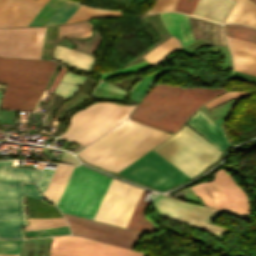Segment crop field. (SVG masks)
Instances as JSON below:
<instances>
[{
	"mask_svg": "<svg viewBox=\"0 0 256 256\" xmlns=\"http://www.w3.org/2000/svg\"><path fill=\"white\" fill-rule=\"evenodd\" d=\"M160 16H161V19H162L166 29L169 32L173 33L182 42L183 46L192 42V41H194L188 16L184 15L188 24H189L191 37L188 33L187 24H186V21L184 20V18L182 16V14H179V13H160ZM179 17H180V19L182 20V22L184 24L185 33H186V37L188 38V41H187V39L184 35L182 23H181Z\"/></svg>",
	"mask_w": 256,
	"mask_h": 256,
	"instance_id": "crop-field-21",
	"label": "crop field"
},
{
	"mask_svg": "<svg viewBox=\"0 0 256 256\" xmlns=\"http://www.w3.org/2000/svg\"><path fill=\"white\" fill-rule=\"evenodd\" d=\"M142 191L112 179L93 219L125 228Z\"/></svg>",
	"mask_w": 256,
	"mask_h": 256,
	"instance_id": "crop-field-9",
	"label": "crop field"
},
{
	"mask_svg": "<svg viewBox=\"0 0 256 256\" xmlns=\"http://www.w3.org/2000/svg\"><path fill=\"white\" fill-rule=\"evenodd\" d=\"M224 29L227 36L256 43V30L254 29L239 25H225Z\"/></svg>",
	"mask_w": 256,
	"mask_h": 256,
	"instance_id": "crop-field-31",
	"label": "crop field"
},
{
	"mask_svg": "<svg viewBox=\"0 0 256 256\" xmlns=\"http://www.w3.org/2000/svg\"><path fill=\"white\" fill-rule=\"evenodd\" d=\"M68 220L73 234L100 242L131 249L141 233L63 214Z\"/></svg>",
	"mask_w": 256,
	"mask_h": 256,
	"instance_id": "crop-field-13",
	"label": "crop field"
},
{
	"mask_svg": "<svg viewBox=\"0 0 256 256\" xmlns=\"http://www.w3.org/2000/svg\"><path fill=\"white\" fill-rule=\"evenodd\" d=\"M145 193L146 191L144 190L132 214V217L126 227L127 229H131V230H135L143 233H149V232L158 230V228L143 215L148 205V202L142 201Z\"/></svg>",
	"mask_w": 256,
	"mask_h": 256,
	"instance_id": "crop-field-23",
	"label": "crop field"
},
{
	"mask_svg": "<svg viewBox=\"0 0 256 256\" xmlns=\"http://www.w3.org/2000/svg\"><path fill=\"white\" fill-rule=\"evenodd\" d=\"M122 11H103L99 9L81 6L68 20V22L80 21L90 18L121 16ZM67 22V23H68Z\"/></svg>",
	"mask_w": 256,
	"mask_h": 256,
	"instance_id": "crop-field-25",
	"label": "crop field"
},
{
	"mask_svg": "<svg viewBox=\"0 0 256 256\" xmlns=\"http://www.w3.org/2000/svg\"><path fill=\"white\" fill-rule=\"evenodd\" d=\"M152 65H150L149 63H147L146 61H141L137 64L122 68L120 70H115V71H110V72H104V73H98L103 79L106 78H110L113 76H117L120 74H124V73H129V72H133L139 69H143V68H147V67H151Z\"/></svg>",
	"mask_w": 256,
	"mask_h": 256,
	"instance_id": "crop-field-35",
	"label": "crop field"
},
{
	"mask_svg": "<svg viewBox=\"0 0 256 256\" xmlns=\"http://www.w3.org/2000/svg\"><path fill=\"white\" fill-rule=\"evenodd\" d=\"M174 1L171 0H156L154 8L149 10V12L155 11H173L175 6Z\"/></svg>",
	"mask_w": 256,
	"mask_h": 256,
	"instance_id": "crop-field-39",
	"label": "crop field"
},
{
	"mask_svg": "<svg viewBox=\"0 0 256 256\" xmlns=\"http://www.w3.org/2000/svg\"><path fill=\"white\" fill-rule=\"evenodd\" d=\"M26 203H45L35 198L25 195ZM27 207H44L51 206L49 204H26ZM45 208H56V207H45ZM27 210H58V209H27ZM28 217H39V218H55L62 217L59 211H27Z\"/></svg>",
	"mask_w": 256,
	"mask_h": 256,
	"instance_id": "crop-field-30",
	"label": "crop field"
},
{
	"mask_svg": "<svg viewBox=\"0 0 256 256\" xmlns=\"http://www.w3.org/2000/svg\"><path fill=\"white\" fill-rule=\"evenodd\" d=\"M59 161L74 164V165H78L79 163L73 156L69 155L66 152L63 153Z\"/></svg>",
	"mask_w": 256,
	"mask_h": 256,
	"instance_id": "crop-field-42",
	"label": "crop field"
},
{
	"mask_svg": "<svg viewBox=\"0 0 256 256\" xmlns=\"http://www.w3.org/2000/svg\"><path fill=\"white\" fill-rule=\"evenodd\" d=\"M74 167L58 164L56 171L44 193L47 200L56 204Z\"/></svg>",
	"mask_w": 256,
	"mask_h": 256,
	"instance_id": "crop-field-22",
	"label": "crop field"
},
{
	"mask_svg": "<svg viewBox=\"0 0 256 256\" xmlns=\"http://www.w3.org/2000/svg\"><path fill=\"white\" fill-rule=\"evenodd\" d=\"M181 48L180 42L173 36L157 46L143 58L153 66L160 63L166 56Z\"/></svg>",
	"mask_w": 256,
	"mask_h": 256,
	"instance_id": "crop-field-24",
	"label": "crop field"
},
{
	"mask_svg": "<svg viewBox=\"0 0 256 256\" xmlns=\"http://www.w3.org/2000/svg\"><path fill=\"white\" fill-rule=\"evenodd\" d=\"M27 220L30 226L25 227V230L68 225L64 218H56V219L27 218Z\"/></svg>",
	"mask_w": 256,
	"mask_h": 256,
	"instance_id": "crop-field-33",
	"label": "crop field"
},
{
	"mask_svg": "<svg viewBox=\"0 0 256 256\" xmlns=\"http://www.w3.org/2000/svg\"><path fill=\"white\" fill-rule=\"evenodd\" d=\"M134 107L112 103H97L89 106L72 116L69 128L60 138L86 146L127 118Z\"/></svg>",
	"mask_w": 256,
	"mask_h": 256,
	"instance_id": "crop-field-7",
	"label": "crop field"
},
{
	"mask_svg": "<svg viewBox=\"0 0 256 256\" xmlns=\"http://www.w3.org/2000/svg\"><path fill=\"white\" fill-rule=\"evenodd\" d=\"M111 179L84 166L75 167L56 206L92 219Z\"/></svg>",
	"mask_w": 256,
	"mask_h": 256,
	"instance_id": "crop-field-5",
	"label": "crop field"
},
{
	"mask_svg": "<svg viewBox=\"0 0 256 256\" xmlns=\"http://www.w3.org/2000/svg\"><path fill=\"white\" fill-rule=\"evenodd\" d=\"M24 240H0V254H19ZM18 256V255H0Z\"/></svg>",
	"mask_w": 256,
	"mask_h": 256,
	"instance_id": "crop-field-34",
	"label": "crop field"
},
{
	"mask_svg": "<svg viewBox=\"0 0 256 256\" xmlns=\"http://www.w3.org/2000/svg\"><path fill=\"white\" fill-rule=\"evenodd\" d=\"M23 193L38 198L42 199V196L40 195L39 191L33 186V185H23Z\"/></svg>",
	"mask_w": 256,
	"mask_h": 256,
	"instance_id": "crop-field-41",
	"label": "crop field"
},
{
	"mask_svg": "<svg viewBox=\"0 0 256 256\" xmlns=\"http://www.w3.org/2000/svg\"><path fill=\"white\" fill-rule=\"evenodd\" d=\"M224 23H240L256 28V5L250 0H236Z\"/></svg>",
	"mask_w": 256,
	"mask_h": 256,
	"instance_id": "crop-field-19",
	"label": "crop field"
},
{
	"mask_svg": "<svg viewBox=\"0 0 256 256\" xmlns=\"http://www.w3.org/2000/svg\"><path fill=\"white\" fill-rule=\"evenodd\" d=\"M234 70L256 76V44L227 37Z\"/></svg>",
	"mask_w": 256,
	"mask_h": 256,
	"instance_id": "crop-field-16",
	"label": "crop field"
},
{
	"mask_svg": "<svg viewBox=\"0 0 256 256\" xmlns=\"http://www.w3.org/2000/svg\"><path fill=\"white\" fill-rule=\"evenodd\" d=\"M84 79H85L84 76H77L75 74L67 72L65 74L63 80L61 81V83L59 84L57 89L55 90V93L61 95L62 97H64L66 99L71 94H73L78 87L76 85H72V84H68V83L80 84ZM66 82H68V83H66Z\"/></svg>",
	"mask_w": 256,
	"mask_h": 256,
	"instance_id": "crop-field-29",
	"label": "crop field"
},
{
	"mask_svg": "<svg viewBox=\"0 0 256 256\" xmlns=\"http://www.w3.org/2000/svg\"><path fill=\"white\" fill-rule=\"evenodd\" d=\"M189 124L196 128L206 137L207 140L213 143L221 151L224 147L231 145L226 141L223 131L219 128V126L212 122L202 112H197L189 121Z\"/></svg>",
	"mask_w": 256,
	"mask_h": 256,
	"instance_id": "crop-field-17",
	"label": "crop field"
},
{
	"mask_svg": "<svg viewBox=\"0 0 256 256\" xmlns=\"http://www.w3.org/2000/svg\"><path fill=\"white\" fill-rule=\"evenodd\" d=\"M66 71V68L62 66V68L60 69L51 89H50V92H53V90L56 88L58 82L60 81V79L62 78L63 74L65 73Z\"/></svg>",
	"mask_w": 256,
	"mask_h": 256,
	"instance_id": "crop-field-44",
	"label": "crop field"
},
{
	"mask_svg": "<svg viewBox=\"0 0 256 256\" xmlns=\"http://www.w3.org/2000/svg\"><path fill=\"white\" fill-rule=\"evenodd\" d=\"M12 160L0 161V237L24 238L27 225L21 183H35L41 170L9 168Z\"/></svg>",
	"mask_w": 256,
	"mask_h": 256,
	"instance_id": "crop-field-4",
	"label": "crop field"
},
{
	"mask_svg": "<svg viewBox=\"0 0 256 256\" xmlns=\"http://www.w3.org/2000/svg\"><path fill=\"white\" fill-rule=\"evenodd\" d=\"M2 93H3V91H0V99H1V97H2Z\"/></svg>",
	"mask_w": 256,
	"mask_h": 256,
	"instance_id": "crop-field-47",
	"label": "crop field"
},
{
	"mask_svg": "<svg viewBox=\"0 0 256 256\" xmlns=\"http://www.w3.org/2000/svg\"><path fill=\"white\" fill-rule=\"evenodd\" d=\"M154 150L190 177L218 160L221 152L186 125Z\"/></svg>",
	"mask_w": 256,
	"mask_h": 256,
	"instance_id": "crop-field-6",
	"label": "crop field"
},
{
	"mask_svg": "<svg viewBox=\"0 0 256 256\" xmlns=\"http://www.w3.org/2000/svg\"><path fill=\"white\" fill-rule=\"evenodd\" d=\"M50 256H64V255H60V254H56V253H52L51 252V255Z\"/></svg>",
	"mask_w": 256,
	"mask_h": 256,
	"instance_id": "crop-field-46",
	"label": "crop field"
},
{
	"mask_svg": "<svg viewBox=\"0 0 256 256\" xmlns=\"http://www.w3.org/2000/svg\"><path fill=\"white\" fill-rule=\"evenodd\" d=\"M98 87L108 89V90H112V91L119 92V93L127 95V93L124 92L122 89H120L118 87H115V86H113L109 83H101Z\"/></svg>",
	"mask_w": 256,
	"mask_h": 256,
	"instance_id": "crop-field-43",
	"label": "crop field"
},
{
	"mask_svg": "<svg viewBox=\"0 0 256 256\" xmlns=\"http://www.w3.org/2000/svg\"><path fill=\"white\" fill-rule=\"evenodd\" d=\"M45 29H0V55L40 59Z\"/></svg>",
	"mask_w": 256,
	"mask_h": 256,
	"instance_id": "crop-field-12",
	"label": "crop field"
},
{
	"mask_svg": "<svg viewBox=\"0 0 256 256\" xmlns=\"http://www.w3.org/2000/svg\"><path fill=\"white\" fill-rule=\"evenodd\" d=\"M92 25L87 21L75 24L59 26V39L64 36L70 37H89L91 35Z\"/></svg>",
	"mask_w": 256,
	"mask_h": 256,
	"instance_id": "crop-field-26",
	"label": "crop field"
},
{
	"mask_svg": "<svg viewBox=\"0 0 256 256\" xmlns=\"http://www.w3.org/2000/svg\"><path fill=\"white\" fill-rule=\"evenodd\" d=\"M43 165H44L43 163H39L38 166H37V168L42 169V168H43Z\"/></svg>",
	"mask_w": 256,
	"mask_h": 256,
	"instance_id": "crop-field-45",
	"label": "crop field"
},
{
	"mask_svg": "<svg viewBox=\"0 0 256 256\" xmlns=\"http://www.w3.org/2000/svg\"><path fill=\"white\" fill-rule=\"evenodd\" d=\"M52 252L68 256H141L142 253L134 252L99 242L75 237H55Z\"/></svg>",
	"mask_w": 256,
	"mask_h": 256,
	"instance_id": "crop-field-14",
	"label": "crop field"
},
{
	"mask_svg": "<svg viewBox=\"0 0 256 256\" xmlns=\"http://www.w3.org/2000/svg\"><path fill=\"white\" fill-rule=\"evenodd\" d=\"M214 200L217 209L232 213L250 221L249 201L246 193L235 183L232 176L223 170H218L212 183H204ZM203 183L194 185L191 189L206 205L214 207Z\"/></svg>",
	"mask_w": 256,
	"mask_h": 256,
	"instance_id": "crop-field-8",
	"label": "crop field"
},
{
	"mask_svg": "<svg viewBox=\"0 0 256 256\" xmlns=\"http://www.w3.org/2000/svg\"><path fill=\"white\" fill-rule=\"evenodd\" d=\"M253 1H255V2H256V0H253Z\"/></svg>",
	"mask_w": 256,
	"mask_h": 256,
	"instance_id": "crop-field-48",
	"label": "crop field"
},
{
	"mask_svg": "<svg viewBox=\"0 0 256 256\" xmlns=\"http://www.w3.org/2000/svg\"><path fill=\"white\" fill-rule=\"evenodd\" d=\"M55 63L0 57V81L8 83L2 108L33 111Z\"/></svg>",
	"mask_w": 256,
	"mask_h": 256,
	"instance_id": "crop-field-3",
	"label": "crop field"
},
{
	"mask_svg": "<svg viewBox=\"0 0 256 256\" xmlns=\"http://www.w3.org/2000/svg\"><path fill=\"white\" fill-rule=\"evenodd\" d=\"M165 74V72L162 71H156L150 76H147L140 80L135 87L130 91L132 96L131 99L141 101L142 98L146 95V93L149 91V89L152 87V85Z\"/></svg>",
	"mask_w": 256,
	"mask_h": 256,
	"instance_id": "crop-field-27",
	"label": "crop field"
},
{
	"mask_svg": "<svg viewBox=\"0 0 256 256\" xmlns=\"http://www.w3.org/2000/svg\"><path fill=\"white\" fill-rule=\"evenodd\" d=\"M197 1L198 0H178L175 10L191 15Z\"/></svg>",
	"mask_w": 256,
	"mask_h": 256,
	"instance_id": "crop-field-38",
	"label": "crop field"
},
{
	"mask_svg": "<svg viewBox=\"0 0 256 256\" xmlns=\"http://www.w3.org/2000/svg\"><path fill=\"white\" fill-rule=\"evenodd\" d=\"M153 204L159 216L202 229L219 238L226 230L208 223L222 213L221 211L175 200L160 194Z\"/></svg>",
	"mask_w": 256,
	"mask_h": 256,
	"instance_id": "crop-field-11",
	"label": "crop field"
},
{
	"mask_svg": "<svg viewBox=\"0 0 256 256\" xmlns=\"http://www.w3.org/2000/svg\"><path fill=\"white\" fill-rule=\"evenodd\" d=\"M53 170H47V169H44L38 183H37V186L39 187V189L42 191V193H44L49 181H50V178L53 174Z\"/></svg>",
	"mask_w": 256,
	"mask_h": 256,
	"instance_id": "crop-field-40",
	"label": "crop field"
},
{
	"mask_svg": "<svg viewBox=\"0 0 256 256\" xmlns=\"http://www.w3.org/2000/svg\"><path fill=\"white\" fill-rule=\"evenodd\" d=\"M223 91L156 84L130 118L174 133L204 102Z\"/></svg>",
	"mask_w": 256,
	"mask_h": 256,
	"instance_id": "crop-field-2",
	"label": "crop field"
},
{
	"mask_svg": "<svg viewBox=\"0 0 256 256\" xmlns=\"http://www.w3.org/2000/svg\"><path fill=\"white\" fill-rule=\"evenodd\" d=\"M64 2V0H50L27 26H45Z\"/></svg>",
	"mask_w": 256,
	"mask_h": 256,
	"instance_id": "crop-field-28",
	"label": "crop field"
},
{
	"mask_svg": "<svg viewBox=\"0 0 256 256\" xmlns=\"http://www.w3.org/2000/svg\"><path fill=\"white\" fill-rule=\"evenodd\" d=\"M250 93H236V92H228L226 94H223L215 99H213L212 101H210L209 103L205 104L207 108H211L217 104H219L220 102L222 101H225V100H229V99H236V98H239V97H243V96H246V95H249Z\"/></svg>",
	"mask_w": 256,
	"mask_h": 256,
	"instance_id": "crop-field-37",
	"label": "crop field"
},
{
	"mask_svg": "<svg viewBox=\"0 0 256 256\" xmlns=\"http://www.w3.org/2000/svg\"><path fill=\"white\" fill-rule=\"evenodd\" d=\"M48 0H0V27L26 26Z\"/></svg>",
	"mask_w": 256,
	"mask_h": 256,
	"instance_id": "crop-field-15",
	"label": "crop field"
},
{
	"mask_svg": "<svg viewBox=\"0 0 256 256\" xmlns=\"http://www.w3.org/2000/svg\"><path fill=\"white\" fill-rule=\"evenodd\" d=\"M169 136L127 120L77 155L93 165L118 172Z\"/></svg>",
	"mask_w": 256,
	"mask_h": 256,
	"instance_id": "crop-field-1",
	"label": "crop field"
},
{
	"mask_svg": "<svg viewBox=\"0 0 256 256\" xmlns=\"http://www.w3.org/2000/svg\"><path fill=\"white\" fill-rule=\"evenodd\" d=\"M175 1H177V0H175Z\"/></svg>",
	"mask_w": 256,
	"mask_h": 256,
	"instance_id": "crop-field-49",
	"label": "crop field"
},
{
	"mask_svg": "<svg viewBox=\"0 0 256 256\" xmlns=\"http://www.w3.org/2000/svg\"><path fill=\"white\" fill-rule=\"evenodd\" d=\"M182 173L157 153L151 151L120 174L152 188L166 190L189 179Z\"/></svg>",
	"mask_w": 256,
	"mask_h": 256,
	"instance_id": "crop-field-10",
	"label": "crop field"
},
{
	"mask_svg": "<svg viewBox=\"0 0 256 256\" xmlns=\"http://www.w3.org/2000/svg\"><path fill=\"white\" fill-rule=\"evenodd\" d=\"M54 58L79 70L89 72L95 60L81 52L62 46L56 47Z\"/></svg>",
	"mask_w": 256,
	"mask_h": 256,
	"instance_id": "crop-field-20",
	"label": "crop field"
},
{
	"mask_svg": "<svg viewBox=\"0 0 256 256\" xmlns=\"http://www.w3.org/2000/svg\"><path fill=\"white\" fill-rule=\"evenodd\" d=\"M28 237H39L46 235H57V234H70L69 227H57V228H48V229H38L25 231Z\"/></svg>",
	"mask_w": 256,
	"mask_h": 256,
	"instance_id": "crop-field-36",
	"label": "crop field"
},
{
	"mask_svg": "<svg viewBox=\"0 0 256 256\" xmlns=\"http://www.w3.org/2000/svg\"><path fill=\"white\" fill-rule=\"evenodd\" d=\"M234 0H199L192 15L223 23Z\"/></svg>",
	"mask_w": 256,
	"mask_h": 256,
	"instance_id": "crop-field-18",
	"label": "crop field"
},
{
	"mask_svg": "<svg viewBox=\"0 0 256 256\" xmlns=\"http://www.w3.org/2000/svg\"><path fill=\"white\" fill-rule=\"evenodd\" d=\"M80 7V5H76L66 1L64 5L52 16L49 22L46 24L54 25V24H62L66 23L69 17Z\"/></svg>",
	"mask_w": 256,
	"mask_h": 256,
	"instance_id": "crop-field-32",
	"label": "crop field"
}]
</instances>
